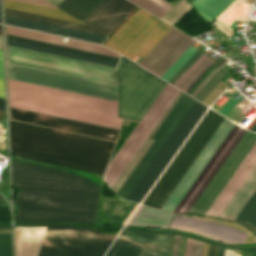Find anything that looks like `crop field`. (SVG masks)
Segmentation results:
<instances>
[{
    "instance_id": "obj_55",
    "label": "crop field",
    "mask_w": 256,
    "mask_h": 256,
    "mask_svg": "<svg viewBox=\"0 0 256 256\" xmlns=\"http://www.w3.org/2000/svg\"><path fill=\"white\" fill-rule=\"evenodd\" d=\"M0 50H3L2 36H0Z\"/></svg>"
},
{
    "instance_id": "obj_51",
    "label": "crop field",
    "mask_w": 256,
    "mask_h": 256,
    "mask_svg": "<svg viewBox=\"0 0 256 256\" xmlns=\"http://www.w3.org/2000/svg\"><path fill=\"white\" fill-rule=\"evenodd\" d=\"M61 1L62 0H50L49 2L57 6Z\"/></svg>"
},
{
    "instance_id": "obj_58",
    "label": "crop field",
    "mask_w": 256,
    "mask_h": 256,
    "mask_svg": "<svg viewBox=\"0 0 256 256\" xmlns=\"http://www.w3.org/2000/svg\"><path fill=\"white\" fill-rule=\"evenodd\" d=\"M0 35H2V28H1V25H0Z\"/></svg>"
},
{
    "instance_id": "obj_25",
    "label": "crop field",
    "mask_w": 256,
    "mask_h": 256,
    "mask_svg": "<svg viewBox=\"0 0 256 256\" xmlns=\"http://www.w3.org/2000/svg\"><path fill=\"white\" fill-rule=\"evenodd\" d=\"M256 189V165L229 201L219 217L234 220L244 204Z\"/></svg>"
},
{
    "instance_id": "obj_53",
    "label": "crop field",
    "mask_w": 256,
    "mask_h": 256,
    "mask_svg": "<svg viewBox=\"0 0 256 256\" xmlns=\"http://www.w3.org/2000/svg\"><path fill=\"white\" fill-rule=\"evenodd\" d=\"M211 248H212V245H210V244H209V246H208L207 256H210V254H211Z\"/></svg>"
},
{
    "instance_id": "obj_30",
    "label": "crop field",
    "mask_w": 256,
    "mask_h": 256,
    "mask_svg": "<svg viewBox=\"0 0 256 256\" xmlns=\"http://www.w3.org/2000/svg\"><path fill=\"white\" fill-rule=\"evenodd\" d=\"M235 221L252 229L256 223V191L240 211Z\"/></svg>"
},
{
    "instance_id": "obj_13",
    "label": "crop field",
    "mask_w": 256,
    "mask_h": 256,
    "mask_svg": "<svg viewBox=\"0 0 256 256\" xmlns=\"http://www.w3.org/2000/svg\"><path fill=\"white\" fill-rule=\"evenodd\" d=\"M255 142L256 134L246 131L188 214L204 215Z\"/></svg>"
},
{
    "instance_id": "obj_41",
    "label": "crop field",
    "mask_w": 256,
    "mask_h": 256,
    "mask_svg": "<svg viewBox=\"0 0 256 256\" xmlns=\"http://www.w3.org/2000/svg\"><path fill=\"white\" fill-rule=\"evenodd\" d=\"M206 55L203 53L196 62L181 76V78L174 84V86H178L183 79L198 65V63L205 57Z\"/></svg>"
},
{
    "instance_id": "obj_45",
    "label": "crop field",
    "mask_w": 256,
    "mask_h": 256,
    "mask_svg": "<svg viewBox=\"0 0 256 256\" xmlns=\"http://www.w3.org/2000/svg\"><path fill=\"white\" fill-rule=\"evenodd\" d=\"M192 241H193V239H188L187 238L184 256H190L191 247H192Z\"/></svg>"
},
{
    "instance_id": "obj_54",
    "label": "crop field",
    "mask_w": 256,
    "mask_h": 256,
    "mask_svg": "<svg viewBox=\"0 0 256 256\" xmlns=\"http://www.w3.org/2000/svg\"><path fill=\"white\" fill-rule=\"evenodd\" d=\"M0 203L7 205V203L5 202V200L3 199V197L1 195H0Z\"/></svg>"
},
{
    "instance_id": "obj_18",
    "label": "crop field",
    "mask_w": 256,
    "mask_h": 256,
    "mask_svg": "<svg viewBox=\"0 0 256 256\" xmlns=\"http://www.w3.org/2000/svg\"><path fill=\"white\" fill-rule=\"evenodd\" d=\"M7 44L115 67L119 58L7 34Z\"/></svg>"
},
{
    "instance_id": "obj_44",
    "label": "crop field",
    "mask_w": 256,
    "mask_h": 256,
    "mask_svg": "<svg viewBox=\"0 0 256 256\" xmlns=\"http://www.w3.org/2000/svg\"><path fill=\"white\" fill-rule=\"evenodd\" d=\"M179 239H180V236L175 235L173 250H172V256H177L178 246H179Z\"/></svg>"
},
{
    "instance_id": "obj_50",
    "label": "crop field",
    "mask_w": 256,
    "mask_h": 256,
    "mask_svg": "<svg viewBox=\"0 0 256 256\" xmlns=\"http://www.w3.org/2000/svg\"><path fill=\"white\" fill-rule=\"evenodd\" d=\"M0 109L5 111V104H4V100L0 98Z\"/></svg>"
},
{
    "instance_id": "obj_33",
    "label": "crop field",
    "mask_w": 256,
    "mask_h": 256,
    "mask_svg": "<svg viewBox=\"0 0 256 256\" xmlns=\"http://www.w3.org/2000/svg\"><path fill=\"white\" fill-rule=\"evenodd\" d=\"M207 56L200 62V64L185 78V80L178 86L183 91H187L189 87L199 78V76L212 63Z\"/></svg>"
},
{
    "instance_id": "obj_26",
    "label": "crop field",
    "mask_w": 256,
    "mask_h": 256,
    "mask_svg": "<svg viewBox=\"0 0 256 256\" xmlns=\"http://www.w3.org/2000/svg\"><path fill=\"white\" fill-rule=\"evenodd\" d=\"M6 23L27 27V28H32V29H37V30H42V31L51 32V33L66 35L70 37L90 40V41L99 42V43H102V41L105 39L104 36L84 33L80 31H75V30H70V29H65V28H60L55 26H49L45 24L35 23V22L12 18L8 16H6Z\"/></svg>"
},
{
    "instance_id": "obj_31",
    "label": "crop field",
    "mask_w": 256,
    "mask_h": 256,
    "mask_svg": "<svg viewBox=\"0 0 256 256\" xmlns=\"http://www.w3.org/2000/svg\"><path fill=\"white\" fill-rule=\"evenodd\" d=\"M157 17H161L171 6L165 0H129Z\"/></svg>"
},
{
    "instance_id": "obj_38",
    "label": "crop field",
    "mask_w": 256,
    "mask_h": 256,
    "mask_svg": "<svg viewBox=\"0 0 256 256\" xmlns=\"http://www.w3.org/2000/svg\"><path fill=\"white\" fill-rule=\"evenodd\" d=\"M202 54L201 51H197L185 64L184 66L169 80L172 85L179 79V77L194 63V61ZM170 83V84H171Z\"/></svg>"
},
{
    "instance_id": "obj_47",
    "label": "crop field",
    "mask_w": 256,
    "mask_h": 256,
    "mask_svg": "<svg viewBox=\"0 0 256 256\" xmlns=\"http://www.w3.org/2000/svg\"><path fill=\"white\" fill-rule=\"evenodd\" d=\"M0 77L4 78L3 54H2V51H0Z\"/></svg>"
},
{
    "instance_id": "obj_37",
    "label": "crop field",
    "mask_w": 256,
    "mask_h": 256,
    "mask_svg": "<svg viewBox=\"0 0 256 256\" xmlns=\"http://www.w3.org/2000/svg\"><path fill=\"white\" fill-rule=\"evenodd\" d=\"M227 74L221 69L214 75V77L201 89V91L194 97L202 100Z\"/></svg>"
},
{
    "instance_id": "obj_20",
    "label": "crop field",
    "mask_w": 256,
    "mask_h": 256,
    "mask_svg": "<svg viewBox=\"0 0 256 256\" xmlns=\"http://www.w3.org/2000/svg\"><path fill=\"white\" fill-rule=\"evenodd\" d=\"M135 6L127 0H102L83 22L108 35Z\"/></svg>"
},
{
    "instance_id": "obj_62",
    "label": "crop field",
    "mask_w": 256,
    "mask_h": 256,
    "mask_svg": "<svg viewBox=\"0 0 256 256\" xmlns=\"http://www.w3.org/2000/svg\"><path fill=\"white\" fill-rule=\"evenodd\" d=\"M49 1V0H48Z\"/></svg>"
},
{
    "instance_id": "obj_23",
    "label": "crop field",
    "mask_w": 256,
    "mask_h": 256,
    "mask_svg": "<svg viewBox=\"0 0 256 256\" xmlns=\"http://www.w3.org/2000/svg\"><path fill=\"white\" fill-rule=\"evenodd\" d=\"M7 33L18 35V36H23V37H28V38H32V39L47 41V42H51V43L61 44V45H65V46L75 47V48H79V49L94 51V52H98V53L108 54V55H112V56H117V57L120 56L119 54H117L101 45L76 41V40H72V39H71L70 43H63L60 40L61 37H59V36L44 34V33L25 30V29H20V28H16V27L7 26Z\"/></svg>"
},
{
    "instance_id": "obj_7",
    "label": "crop field",
    "mask_w": 256,
    "mask_h": 256,
    "mask_svg": "<svg viewBox=\"0 0 256 256\" xmlns=\"http://www.w3.org/2000/svg\"><path fill=\"white\" fill-rule=\"evenodd\" d=\"M113 239L90 227H48L38 256H102Z\"/></svg>"
},
{
    "instance_id": "obj_3",
    "label": "crop field",
    "mask_w": 256,
    "mask_h": 256,
    "mask_svg": "<svg viewBox=\"0 0 256 256\" xmlns=\"http://www.w3.org/2000/svg\"><path fill=\"white\" fill-rule=\"evenodd\" d=\"M171 28L139 8L105 46L131 59L144 57ZM194 41L172 28L139 64L161 77Z\"/></svg>"
},
{
    "instance_id": "obj_34",
    "label": "crop field",
    "mask_w": 256,
    "mask_h": 256,
    "mask_svg": "<svg viewBox=\"0 0 256 256\" xmlns=\"http://www.w3.org/2000/svg\"><path fill=\"white\" fill-rule=\"evenodd\" d=\"M224 59H225V58L222 57L216 64L213 62V63L209 66V68L200 76V78H201V77L215 64V65L202 77V79L200 80V78H199V79L191 86V88H192V87L200 80L192 89L189 87L191 90L189 89L190 91H189V90H188L189 92L187 91L188 94L191 95V94L199 87V85L216 69V67H217ZM227 61H228V60L225 59V60L217 67V69L200 85V87H199L191 96L194 97V96L198 93V91H199V90L213 77V75L220 69V67L222 68V67L224 66V64H225ZM225 65H226V64H225ZM187 92H186V93H187Z\"/></svg>"
},
{
    "instance_id": "obj_22",
    "label": "crop field",
    "mask_w": 256,
    "mask_h": 256,
    "mask_svg": "<svg viewBox=\"0 0 256 256\" xmlns=\"http://www.w3.org/2000/svg\"><path fill=\"white\" fill-rule=\"evenodd\" d=\"M47 227L14 226L17 256H37Z\"/></svg>"
},
{
    "instance_id": "obj_56",
    "label": "crop field",
    "mask_w": 256,
    "mask_h": 256,
    "mask_svg": "<svg viewBox=\"0 0 256 256\" xmlns=\"http://www.w3.org/2000/svg\"><path fill=\"white\" fill-rule=\"evenodd\" d=\"M251 130L256 132V124L251 128Z\"/></svg>"
},
{
    "instance_id": "obj_19",
    "label": "crop field",
    "mask_w": 256,
    "mask_h": 256,
    "mask_svg": "<svg viewBox=\"0 0 256 256\" xmlns=\"http://www.w3.org/2000/svg\"><path fill=\"white\" fill-rule=\"evenodd\" d=\"M170 228L189 231L230 243H242L246 233L197 218L175 215Z\"/></svg>"
},
{
    "instance_id": "obj_5",
    "label": "crop field",
    "mask_w": 256,
    "mask_h": 256,
    "mask_svg": "<svg viewBox=\"0 0 256 256\" xmlns=\"http://www.w3.org/2000/svg\"><path fill=\"white\" fill-rule=\"evenodd\" d=\"M116 73L120 85L119 116L140 121L167 82L124 57Z\"/></svg>"
},
{
    "instance_id": "obj_17",
    "label": "crop field",
    "mask_w": 256,
    "mask_h": 256,
    "mask_svg": "<svg viewBox=\"0 0 256 256\" xmlns=\"http://www.w3.org/2000/svg\"><path fill=\"white\" fill-rule=\"evenodd\" d=\"M4 2H5V7H7V8L21 10V11L44 15V16L53 17V18H58V19L67 20V21H71V22L81 23V22L73 19L72 17L66 15L65 13H63L59 10H56V9L42 7V6L33 5V4L24 3V2L15 1V0H4ZM7 8H5V12H6V15H8V16L44 22V23H49V24H53L56 26H61V27H66V28H70V29H75V30H80V31L103 35L100 32L94 30L93 28H91L89 26L81 25L83 23L76 24V23H71V22L62 21V20H58V19L48 18V17L34 15V14H30V13H25V12H21V11L11 10V9H7Z\"/></svg>"
},
{
    "instance_id": "obj_42",
    "label": "crop field",
    "mask_w": 256,
    "mask_h": 256,
    "mask_svg": "<svg viewBox=\"0 0 256 256\" xmlns=\"http://www.w3.org/2000/svg\"><path fill=\"white\" fill-rule=\"evenodd\" d=\"M0 221L10 222V213L7 207L0 206Z\"/></svg>"
},
{
    "instance_id": "obj_43",
    "label": "crop field",
    "mask_w": 256,
    "mask_h": 256,
    "mask_svg": "<svg viewBox=\"0 0 256 256\" xmlns=\"http://www.w3.org/2000/svg\"><path fill=\"white\" fill-rule=\"evenodd\" d=\"M20 1H24V2H29V3H33V4L42 5V6L56 8V7L52 6L51 4L47 3L45 0H20Z\"/></svg>"
},
{
    "instance_id": "obj_29",
    "label": "crop field",
    "mask_w": 256,
    "mask_h": 256,
    "mask_svg": "<svg viewBox=\"0 0 256 256\" xmlns=\"http://www.w3.org/2000/svg\"><path fill=\"white\" fill-rule=\"evenodd\" d=\"M234 0H194L192 3L198 12L208 21H212Z\"/></svg>"
},
{
    "instance_id": "obj_32",
    "label": "crop field",
    "mask_w": 256,
    "mask_h": 256,
    "mask_svg": "<svg viewBox=\"0 0 256 256\" xmlns=\"http://www.w3.org/2000/svg\"><path fill=\"white\" fill-rule=\"evenodd\" d=\"M141 247L117 238L106 256H137Z\"/></svg>"
},
{
    "instance_id": "obj_4",
    "label": "crop field",
    "mask_w": 256,
    "mask_h": 256,
    "mask_svg": "<svg viewBox=\"0 0 256 256\" xmlns=\"http://www.w3.org/2000/svg\"><path fill=\"white\" fill-rule=\"evenodd\" d=\"M10 106L119 129L117 102L8 79Z\"/></svg>"
},
{
    "instance_id": "obj_11",
    "label": "crop field",
    "mask_w": 256,
    "mask_h": 256,
    "mask_svg": "<svg viewBox=\"0 0 256 256\" xmlns=\"http://www.w3.org/2000/svg\"><path fill=\"white\" fill-rule=\"evenodd\" d=\"M178 91L179 90L167 83L157 99L141 119L139 125L136 127L125 145L123 144L124 146L120 152L118 151L119 153L115 159L113 158L114 160L113 162L111 161L112 163L104 176L110 187L142 144Z\"/></svg>"
},
{
    "instance_id": "obj_8",
    "label": "crop field",
    "mask_w": 256,
    "mask_h": 256,
    "mask_svg": "<svg viewBox=\"0 0 256 256\" xmlns=\"http://www.w3.org/2000/svg\"><path fill=\"white\" fill-rule=\"evenodd\" d=\"M8 78L117 101V85L9 63Z\"/></svg>"
},
{
    "instance_id": "obj_6",
    "label": "crop field",
    "mask_w": 256,
    "mask_h": 256,
    "mask_svg": "<svg viewBox=\"0 0 256 256\" xmlns=\"http://www.w3.org/2000/svg\"><path fill=\"white\" fill-rule=\"evenodd\" d=\"M225 117L209 109L144 204L161 208Z\"/></svg>"
},
{
    "instance_id": "obj_57",
    "label": "crop field",
    "mask_w": 256,
    "mask_h": 256,
    "mask_svg": "<svg viewBox=\"0 0 256 256\" xmlns=\"http://www.w3.org/2000/svg\"><path fill=\"white\" fill-rule=\"evenodd\" d=\"M252 230L256 232V225L253 227V229H252Z\"/></svg>"
},
{
    "instance_id": "obj_61",
    "label": "crop field",
    "mask_w": 256,
    "mask_h": 256,
    "mask_svg": "<svg viewBox=\"0 0 256 256\" xmlns=\"http://www.w3.org/2000/svg\"><path fill=\"white\" fill-rule=\"evenodd\" d=\"M0 227H1V225H0Z\"/></svg>"
},
{
    "instance_id": "obj_60",
    "label": "crop field",
    "mask_w": 256,
    "mask_h": 256,
    "mask_svg": "<svg viewBox=\"0 0 256 256\" xmlns=\"http://www.w3.org/2000/svg\"><path fill=\"white\" fill-rule=\"evenodd\" d=\"M193 0H191V2H192Z\"/></svg>"
},
{
    "instance_id": "obj_9",
    "label": "crop field",
    "mask_w": 256,
    "mask_h": 256,
    "mask_svg": "<svg viewBox=\"0 0 256 256\" xmlns=\"http://www.w3.org/2000/svg\"><path fill=\"white\" fill-rule=\"evenodd\" d=\"M7 61L117 84L113 67L9 45Z\"/></svg>"
},
{
    "instance_id": "obj_15",
    "label": "crop field",
    "mask_w": 256,
    "mask_h": 256,
    "mask_svg": "<svg viewBox=\"0 0 256 256\" xmlns=\"http://www.w3.org/2000/svg\"><path fill=\"white\" fill-rule=\"evenodd\" d=\"M234 125L235 124H233L232 122H230L228 119L225 118V120L222 122L220 127L214 133V135L209 140L207 145L204 147V149L201 151L199 156L196 158L194 163L191 165V167L188 169L186 174L183 176L179 184L176 186L172 194L169 196L165 204L162 206V209L173 212V210L176 208L180 200L183 198L185 193L188 191L192 183L195 181L197 176L200 174L202 169L208 163L210 158L213 156L215 151L221 145V143L226 138V136L231 131V129L234 127Z\"/></svg>"
},
{
    "instance_id": "obj_28",
    "label": "crop field",
    "mask_w": 256,
    "mask_h": 256,
    "mask_svg": "<svg viewBox=\"0 0 256 256\" xmlns=\"http://www.w3.org/2000/svg\"><path fill=\"white\" fill-rule=\"evenodd\" d=\"M101 0H63L57 7L83 20Z\"/></svg>"
},
{
    "instance_id": "obj_14",
    "label": "crop field",
    "mask_w": 256,
    "mask_h": 256,
    "mask_svg": "<svg viewBox=\"0 0 256 256\" xmlns=\"http://www.w3.org/2000/svg\"><path fill=\"white\" fill-rule=\"evenodd\" d=\"M244 133L245 130L235 125L184 198L181 200L177 208L174 210V213L187 214Z\"/></svg>"
},
{
    "instance_id": "obj_49",
    "label": "crop field",
    "mask_w": 256,
    "mask_h": 256,
    "mask_svg": "<svg viewBox=\"0 0 256 256\" xmlns=\"http://www.w3.org/2000/svg\"><path fill=\"white\" fill-rule=\"evenodd\" d=\"M224 252L225 250L219 247L217 256H224Z\"/></svg>"
},
{
    "instance_id": "obj_2",
    "label": "crop field",
    "mask_w": 256,
    "mask_h": 256,
    "mask_svg": "<svg viewBox=\"0 0 256 256\" xmlns=\"http://www.w3.org/2000/svg\"><path fill=\"white\" fill-rule=\"evenodd\" d=\"M12 155L103 175L113 141L11 121Z\"/></svg>"
},
{
    "instance_id": "obj_59",
    "label": "crop field",
    "mask_w": 256,
    "mask_h": 256,
    "mask_svg": "<svg viewBox=\"0 0 256 256\" xmlns=\"http://www.w3.org/2000/svg\"><path fill=\"white\" fill-rule=\"evenodd\" d=\"M0 22H1V15H0Z\"/></svg>"
},
{
    "instance_id": "obj_39",
    "label": "crop field",
    "mask_w": 256,
    "mask_h": 256,
    "mask_svg": "<svg viewBox=\"0 0 256 256\" xmlns=\"http://www.w3.org/2000/svg\"><path fill=\"white\" fill-rule=\"evenodd\" d=\"M203 246V242L194 239L191 256H202ZM207 246L208 244L205 243L203 256H206Z\"/></svg>"
},
{
    "instance_id": "obj_46",
    "label": "crop field",
    "mask_w": 256,
    "mask_h": 256,
    "mask_svg": "<svg viewBox=\"0 0 256 256\" xmlns=\"http://www.w3.org/2000/svg\"><path fill=\"white\" fill-rule=\"evenodd\" d=\"M138 256H157V254L142 248Z\"/></svg>"
},
{
    "instance_id": "obj_10",
    "label": "crop field",
    "mask_w": 256,
    "mask_h": 256,
    "mask_svg": "<svg viewBox=\"0 0 256 256\" xmlns=\"http://www.w3.org/2000/svg\"><path fill=\"white\" fill-rule=\"evenodd\" d=\"M195 101L196 100L179 91L161 119L149 134V137L156 138L155 141L118 191V195L126 199Z\"/></svg>"
},
{
    "instance_id": "obj_24",
    "label": "crop field",
    "mask_w": 256,
    "mask_h": 256,
    "mask_svg": "<svg viewBox=\"0 0 256 256\" xmlns=\"http://www.w3.org/2000/svg\"><path fill=\"white\" fill-rule=\"evenodd\" d=\"M119 237L163 256L168 255L170 234L123 231Z\"/></svg>"
},
{
    "instance_id": "obj_36",
    "label": "crop field",
    "mask_w": 256,
    "mask_h": 256,
    "mask_svg": "<svg viewBox=\"0 0 256 256\" xmlns=\"http://www.w3.org/2000/svg\"><path fill=\"white\" fill-rule=\"evenodd\" d=\"M197 50V48L190 46L161 78L168 81Z\"/></svg>"
},
{
    "instance_id": "obj_35",
    "label": "crop field",
    "mask_w": 256,
    "mask_h": 256,
    "mask_svg": "<svg viewBox=\"0 0 256 256\" xmlns=\"http://www.w3.org/2000/svg\"><path fill=\"white\" fill-rule=\"evenodd\" d=\"M0 256H13L11 226L2 225L1 227Z\"/></svg>"
},
{
    "instance_id": "obj_27",
    "label": "crop field",
    "mask_w": 256,
    "mask_h": 256,
    "mask_svg": "<svg viewBox=\"0 0 256 256\" xmlns=\"http://www.w3.org/2000/svg\"><path fill=\"white\" fill-rule=\"evenodd\" d=\"M173 215V213L141 205L129 225L167 228Z\"/></svg>"
},
{
    "instance_id": "obj_21",
    "label": "crop field",
    "mask_w": 256,
    "mask_h": 256,
    "mask_svg": "<svg viewBox=\"0 0 256 256\" xmlns=\"http://www.w3.org/2000/svg\"><path fill=\"white\" fill-rule=\"evenodd\" d=\"M256 164V143L237 168L233 176L215 199L205 215L218 217L228 201L234 195L246 176Z\"/></svg>"
},
{
    "instance_id": "obj_52",
    "label": "crop field",
    "mask_w": 256,
    "mask_h": 256,
    "mask_svg": "<svg viewBox=\"0 0 256 256\" xmlns=\"http://www.w3.org/2000/svg\"><path fill=\"white\" fill-rule=\"evenodd\" d=\"M182 240H183V237H181V239H180V246H179L178 256H180V253H181Z\"/></svg>"
},
{
    "instance_id": "obj_12",
    "label": "crop field",
    "mask_w": 256,
    "mask_h": 256,
    "mask_svg": "<svg viewBox=\"0 0 256 256\" xmlns=\"http://www.w3.org/2000/svg\"><path fill=\"white\" fill-rule=\"evenodd\" d=\"M207 107L203 106L199 102L193 105L181 124L175 130L148 170L142 176L130 195L128 200L140 202L166 164L169 162L173 154L196 124Z\"/></svg>"
},
{
    "instance_id": "obj_16",
    "label": "crop field",
    "mask_w": 256,
    "mask_h": 256,
    "mask_svg": "<svg viewBox=\"0 0 256 256\" xmlns=\"http://www.w3.org/2000/svg\"><path fill=\"white\" fill-rule=\"evenodd\" d=\"M11 119L64 129L68 131L108 138L116 139L118 134L117 129H112L108 127L88 124L84 122L64 119L60 117L45 115L41 113L21 110L17 108L10 107Z\"/></svg>"
},
{
    "instance_id": "obj_48",
    "label": "crop field",
    "mask_w": 256,
    "mask_h": 256,
    "mask_svg": "<svg viewBox=\"0 0 256 256\" xmlns=\"http://www.w3.org/2000/svg\"><path fill=\"white\" fill-rule=\"evenodd\" d=\"M0 97L4 99V81L0 78Z\"/></svg>"
},
{
    "instance_id": "obj_40",
    "label": "crop field",
    "mask_w": 256,
    "mask_h": 256,
    "mask_svg": "<svg viewBox=\"0 0 256 256\" xmlns=\"http://www.w3.org/2000/svg\"><path fill=\"white\" fill-rule=\"evenodd\" d=\"M237 94L238 92H236L235 95L218 112L225 116L233 108V106L242 98L241 96L238 101L234 100L233 98Z\"/></svg>"
},
{
    "instance_id": "obj_1",
    "label": "crop field",
    "mask_w": 256,
    "mask_h": 256,
    "mask_svg": "<svg viewBox=\"0 0 256 256\" xmlns=\"http://www.w3.org/2000/svg\"><path fill=\"white\" fill-rule=\"evenodd\" d=\"M12 179L22 187L16 223L94 224L100 186L76 174L16 160Z\"/></svg>"
}]
</instances>
